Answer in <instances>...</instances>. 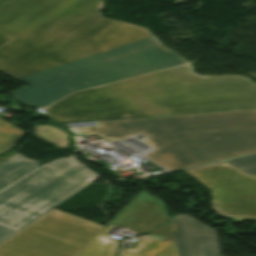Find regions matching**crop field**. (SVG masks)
I'll use <instances>...</instances> for the list:
<instances>
[{"label": "crop field", "instance_id": "crop-field-6", "mask_svg": "<svg viewBox=\"0 0 256 256\" xmlns=\"http://www.w3.org/2000/svg\"><path fill=\"white\" fill-rule=\"evenodd\" d=\"M212 191L217 214L237 223L256 220V177L227 163L185 170Z\"/></svg>", "mask_w": 256, "mask_h": 256}, {"label": "crop field", "instance_id": "crop-field-11", "mask_svg": "<svg viewBox=\"0 0 256 256\" xmlns=\"http://www.w3.org/2000/svg\"><path fill=\"white\" fill-rule=\"evenodd\" d=\"M39 167V163L14 151L0 157V190Z\"/></svg>", "mask_w": 256, "mask_h": 256}, {"label": "crop field", "instance_id": "crop-field-3", "mask_svg": "<svg viewBox=\"0 0 256 256\" xmlns=\"http://www.w3.org/2000/svg\"><path fill=\"white\" fill-rule=\"evenodd\" d=\"M77 127L106 141L132 138L151 148L140 155L168 171L256 152V109L95 121Z\"/></svg>", "mask_w": 256, "mask_h": 256}, {"label": "crop field", "instance_id": "crop-field-4", "mask_svg": "<svg viewBox=\"0 0 256 256\" xmlns=\"http://www.w3.org/2000/svg\"><path fill=\"white\" fill-rule=\"evenodd\" d=\"M96 179L74 160L47 165L0 192V226L18 232Z\"/></svg>", "mask_w": 256, "mask_h": 256}, {"label": "crop field", "instance_id": "crop-field-14", "mask_svg": "<svg viewBox=\"0 0 256 256\" xmlns=\"http://www.w3.org/2000/svg\"><path fill=\"white\" fill-rule=\"evenodd\" d=\"M26 132L14 127L10 123L0 119V153L14 147L16 142Z\"/></svg>", "mask_w": 256, "mask_h": 256}, {"label": "crop field", "instance_id": "crop-field-12", "mask_svg": "<svg viewBox=\"0 0 256 256\" xmlns=\"http://www.w3.org/2000/svg\"><path fill=\"white\" fill-rule=\"evenodd\" d=\"M113 228L108 225L77 256H116L119 240L107 234Z\"/></svg>", "mask_w": 256, "mask_h": 256}, {"label": "crop field", "instance_id": "crop-field-5", "mask_svg": "<svg viewBox=\"0 0 256 256\" xmlns=\"http://www.w3.org/2000/svg\"><path fill=\"white\" fill-rule=\"evenodd\" d=\"M104 228L53 209L0 244V256H76Z\"/></svg>", "mask_w": 256, "mask_h": 256}, {"label": "crop field", "instance_id": "crop-field-9", "mask_svg": "<svg viewBox=\"0 0 256 256\" xmlns=\"http://www.w3.org/2000/svg\"><path fill=\"white\" fill-rule=\"evenodd\" d=\"M168 220L164 201L142 191L111 224L140 233Z\"/></svg>", "mask_w": 256, "mask_h": 256}, {"label": "crop field", "instance_id": "crop-field-7", "mask_svg": "<svg viewBox=\"0 0 256 256\" xmlns=\"http://www.w3.org/2000/svg\"><path fill=\"white\" fill-rule=\"evenodd\" d=\"M179 256H223L217 231L188 215L171 219Z\"/></svg>", "mask_w": 256, "mask_h": 256}, {"label": "crop field", "instance_id": "crop-field-15", "mask_svg": "<svg viewBox=\"0 0 256 256\" xmlns=\"http://www.w3.org/2000/svg\"><path fill=\"white\" fill-rule=\"evenodd\" d=\"M226 162L248 174L256 175V154L227 160Z\"/></svg>", "mask_w": 256, "mask_h": 256}, {"label": "crop field", "instance_id": "crop-field-1", "mask_svg": "<svg viewBox=\"0 0 256 256\" xmlns=\"http://www.w3.org/2000/svg\"><path fill=\"white\" fill-rule=\"evenodd\" d=\"M106 0H0V71L30 86L12 92L46 107L73 91L187 63L159 45L108 61L91 36L113 22Z\"/></svg>", "mask_w": 256, "mask_h": 256}, {"label": "crop field", "instance_id": "crop-field-10", "mask_svg": "<svg viewBox=\"0 0 256 256\" xmlns=\"http://www.w3.org/2000/svg\"><path fill=\"white\" fill-rule=\"evenodd\" d=\"M166 237V242L161 241ZM121 256H177L171 227L164 224L152 231L150 239L139 238L133 249H122Z\"/></svg>", "mask_w": 256, "mask_h": 256}, {"label": "crop field", "instance_id": "crop-field-8", "mask_svg": "<svg viewBox=\"0 0 256 256\" xmlns=\"http://www.w3.org/2000/svg\"><path fill=\"white\" fill-rule=\"evenodd\" d=\"M91 38L108 60L159 45L145 29L118 21Z\"/></svg>", "mask_w": 256, "mask_h": 256}, {"label": "crop field", "instance_id": "crop-field-13", "mask_svg": "<svg viewBox=\"0 0 256 256\" xmlns=\"http://www.w3.org/2000/svg\"><path fill=\"white\" fill-rule=\"evenodd\" d=\"M35 135L62 148H68L67 133L59 128L49 125L35 127Z\"/></svg>", "mask_w": 256, "mask_h": 256}, {"label": "crop field", "instance_id": "crop-field-17", "mask_svg": "<svg viewBox=\"0 0 256 256\" xmlns=\"http://www.w3.org/2000/svg\"><path fill=\"white\" fill-rule=\"evenodd\" d=\"M73 133H75L77 136H85V135H89L88 133L79 131V130H75V129H71L69 128Z\"/></svg>", "mask_w": 256, "mask_h": 256}, {"label": "crop field", "instance_id": "crop-field-2", "mask_svg": "<svg viewBox=\"0 0 256 256\" xmlns=\"http://www.w3.org/2000/svg\"><path fill=\"white\" fill-rule=\"evenodd\" d=\"M57 123L256 108V84L190 64L76 92L47 107Z\"/></svg>", "mask_w": 256, "mask_h": 256}, {"label": "crop field", "instance_id": "crop-field-18", "mask_svg": "<svg viewBox=\"0 0 256 256\" xmlns=\"http://www.w3.org/2000/svg\"><path fill=\"white\" fill-rule=\"evenodd\" d=\"M61 125H66V126H68L67 123H64V124H61Z\"/></svg>", "mask_w": 256, "mask_h": 256}, {"label": "crop field", "instance_id": "crop-field-16", "mask_svg": "<svg viewBox=\"0 0 256 256\" xmlns=\"http://www.w3.org/2000/svg\"><path fill=\"white\" fill-rule=\"evenodd\" d=\"M16 232L0 227V243L14 235Z\"/></svg>", "mask_w": 256, "mask_h": 256}]
</instances>
